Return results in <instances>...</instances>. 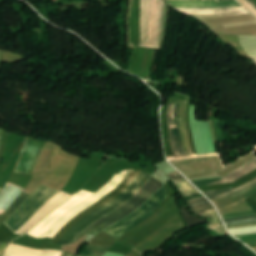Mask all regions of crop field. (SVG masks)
I'll use <instances>...</instances> for the list:
<instances>
[{
    "label": "crop field",
    "instance_id": "1",
    "mask_svg": "<svg viewBox=\"0 0 256 256\" xmlns=\"http://www.w3.org/2000/svg\"><path fill=\"white\" fill-rule=\"evenodd\" d=\"M138 173L139 171L137 170H129L126 179L120 186H118L110 195L84 211L75 219H73L59 232V234L51 242L57 243L63 237V235L77 222H79L81 219H83L95 209L107 204L115 197H117L129 185V183L136 177ZM150 176L152 175L140 172L137 177L130 183V185L117 198H115L104 207L92 212L90 215L81 220L72 229H70L57 244H70L77 236H79L87 227H89L96 220L114 211L126 201L131 199Z\"/></svg>",
    "mask_w": 256,
    "mask_h": 256
},
{
    "label": "crop field",
    "instance_id": "2",
    "mask_svg": "<svg viewBox=\"0 0 256 256\" xmlns=\"http://www.w3.org/2000/svg\"><path fill=\"white\" fill-rule=\"evenodd\" d=\"M155 0H141V43L149 46ZM167 3L156 0L150 46L160 47L165 37Z\"/></svg>",
    "mask_w": 256,
    "mask_h": 256
},
{
    "label": "crop field",
    "instance_id": "3",
    "mask_svg": "<svg viewBox=\"0 0 256 256\" xmlns=\"http://www.w3.org/2000/svg\"><path fill=\"white\" fill-rule=\"evenodd\" d=\"M154 177L152 176L151 178H149L147 182L141 187V189L130 201L125 203L116 211L99 219L97 222L92 224L88 229H86L79 237H81L84 234L97 235L102 229L122 220L123 218L127 217L135 210H137L147 199H149L155 192H157L162 185H165ZM78 238H76L75 241Z\"/></svg>",
    "mask_w": 256,
    "mask_h": 256
},
{
    "label": "crop field",
    "instance_id": "4",
    "mask_svg": "<svg viewBox=\"0 0 256 256\" xmlns=\"http://www.w3.org/2000/svg\"><path fill=\"white\" fill-rule=\"evenodd\" d=\"M164 187H162L157 193H155L145 204H143L136 212L125 218L124 220L106 228L104 232L120 238L124 233L130 229L136 227L144 220L149 218L155 208H157L164 200L168 198Z\"/></svg>",
    "mask_w": 256,
    "mask_h": 256
},
{
    "label": "crop field",
    "instance_id": "5",
    "mask_svg": "<svg viewBox=\"0 0 256 256\" xmlns=\"http://www.w3.org/2000/svg\"><path fill=\"white\" fill-rule=\"evenodd\" d=\"M57 193L59 191L41 185L5 224L14 233Z\"/></svg>",
    "mask_w": 256,
    "mask_h": 256
},
{
    "label": "crop field",
    "instance_id": "6",
    "mask_svg": "<svg viewBox=\"0 0 256 256\" xmlns=\"http://www.w3.org/2000/svg\"><path fill=\"white\" fill-rule=\"evenodd\" d=\"M186 202L192 213L209 219V229L217 231L225 228L214 207L204 197L188 200Z\"/></svg>",
    "mask_w": 256,
    "mask_h": 256
},
{
    "label": "crop field",
    "instance_id": "7",
    "mask_svg": "<svg viewBox=\"0 0 256 256\" xmlns=\"http://www.w3.org/2000/svg\"><path fill=\"white\" fill-rule=\"evenodd\" d=\"M71 195L67 193L60 192L50 201H48L34 216H32L21 228H19L15 233L23 235L36 224H38L45 216H47L55 207L61 204Z\"/></svg>",
    "mask_w": 256,
    "mask_h": 256
},
{
    "label": "crop field",
    "instance_id": "8",
    "mask_svg": "<svg viewBox=\"0 0 256 256\" xmlns=\"http://www.w3.org/2000/svg\"><path fill=\"white\" fill-rule=\"evenodd\" d=\"M44 146L27 140L20 156L19 164L14 172L32 173L34 164Z\"/></svg>",
    "mask_w": 256,
    "mask_h": 256
},
{
    "label": "crop field",
    "instance_id": "9",
    "mask_svg": "<svg viewBox=\"0 0 256 256\" xmlns=\"http://www.w3.org/2000/svg\"><path fill=\"white\" fill-rule=\"evenodd\" d=\"M178 105L179 104L169 105L168 111H167V118H168V125H169L173 152L176 158H181L185 156H184L178 124H177Z\"/></svg>",
    "mask_w": 256,
    "mask_h": 256
},
{
    "label": "crop field",
    "instance_id": "10",
    "mask_svg": "<svg viewBox=\"0 0 256 256\" xmlns=\"http://www.w3.org/2000/svg\"><path fill=\"white\" fill-rule=\"evenodd\" d=\"M174 8H235L236 1H168Z\"/></svg>",
    "mask_w": 256,
    "mask_h": 256
},
{
    "label": "crop field",
    "instance_id": "11",
    "mask_svg": "<svg viewBox=\"0 0 256 256\" xmlns=\"http://www.w3.org/2000/svg\"><path fill=\"white\" fill-rule=\"evenodd\" d=\"M255 188H256V178L246 182L245 184L237 188L206 191L203 193L207 195L210 199L227 198V197L243 196Z\"/></svg>",
    "mask_w": 256,
    "mask_h": 256
},
{
    "label": "crop field",
    "instance_id": "12",
    "mask_svg": "<svg viewBox=\"0 0 256 256\" xmlns=\"http://www.w3.org/2000/svg\"><path fill=\"white\" fill-rule=\"evenodd\" d=\"M63 251L33 250L16 245H9L5 256H61Z\"/></svg>",
    "mask_w": 256,
    "mask_h": 256
},
{
    "label": "crop field",
    "instance_id": "13",
    "mask_svg": "<svg viewBox=\"0 0 256 256\" xmlns=\"http://www.w3.org/2000/svg\"><path fill=\"white\" fill-rule=\"evenodd\" d=\"M187 14L251 15L245 9H178Z\"/></svg>",
    "mask_w": 256,
    "mask_h": 256
},
{
    "label": "crop field",
    "instance_id": "14",
    "mask_svg": "<svg viewBox=\"0 0 256 256\" xmlns=\"http://www.w3.org/2000/svg\"><path fill=\"white\" fill-rule=\"evenodd\" d=\"M8 184L15 186L11 183H8ZM10 185L5 186V188L0 192V210L7 209L9 207V205L17 198V196L23 190V189L22 190L16 189ZM15 187H17V186H15ZM17 188H19V187H17ZM4 211L5 210L0 211V214H2Z\"/></svg>",
    "mask_w": 256,
    "mask_h": 256
},
{
    "label": "crop field",
    "instance_id": "15",
    "mask_svg": "<svg viewBox=\"0 0 256 256\" xmlns=\"http://www.w3.org/2000/svg\"><path fill=\"white\" fill-rule=\"evenodd\" d=\"M179 188L183 197L198 194L199 192L188 183L178 172L168 175Z\"/></svg>",
    "mask_w": 256,
    "mask_h": 256
},
{
    "label": "crop field",
    "instance_id": "16",
    "mask_svg": "<svg viewBox=\"0 0 256 256\" xmlns=\"http://www.w3.org/2000/svg\"><path fill=\"white\" fill-rule=\"evenodd\" d=\"M254 169H256V161H254L253 163L244 167L243 169L239 170L238 172L234 173L233 175H231L229 177H224V178H222L223 180L215 182L213 184L233 182V181L239 179L240 177L246 175L247 173L253 171Z\"/></svg>",
    "mask_w": 256,
    "mask_h": 256
},
{
    "label": "crop field",
    "instance_id": "17",
    "mask_svg": "<svg viewBox=\"0 0 256 256\" xmlns=\"http://www.w3.org/2000/svg\"><path fill=\"white\" fill-rule=\"evenodd\" d=\"M224 221H225L226 225L255 222L256 216L255 217L246 216V217L227 218V219H224Z\"/></svg>",
    "mask_w": 256,
    "mask_h": 256
},
{
    "label": "crop field",
    "instance_id": "18",
    "mask_svg": "<svg viewBox=\"0 0 256 256\" xmlns=\"http://www.w3.org/2000/svg\"><path fill=\"white\" fill-rule=\"evenodd\" d=\"M28 194L22 193L15 201L14 203L8 208L6 213L12 215L14 211L21 205V203L28 197Z\"/></svg>",
    "mask_w": 256,
    "mask_h": 256
},
{
    "label": "crop field",
    "instance_id": "19",
    "mask_svg": "<svg viewBox=\"0 0 256 256\" xmlns=\"http://www.w3.org/2000/svg\"><path fill=\"white\" fill-rule=\"evenodd\" d=\"M104 252L84 250L80 256H102Z\"/></svg>",
    "mask_w": 256,
    "mask_h": 256
},
{
    "label": "crop field",
    "instance_id": "20",
    "mask_svg": "<svg viewBox=\"0 0 256 256\" xmlns=\"http://www.w3.org/2000/svg\"><path fill=\"white\" fill-rule=\"evenodd\" d=\"M86 248H88V249H95V250L107 251L109 247H107V246H99V245L88 244Z\"/></svg>",
    "mask_w": 256,
    "mask_h": 256
},
{
    "label": "crop field",
    "instance_id": "21",
    "mask_svg": "<svg viewBox=\"0 0 256 256\" xmlns=\"http://www.w3.org/2000/svg\"><path fill=\"white\" fill-rule=\"evenodd\" d=\"M248 226H256V223L231 225V226H227V227H228V229H232V228H240V227H248Z\"/></svg>",
    "mask_w": 256,
    "mask_h": 256
},
{
    "label": "crop field",
    "instance_id": "22",
    "mask_svg": "<svg viewBox=\"0 0 256 256\" xmlns=\"http://www.w3.org/2000/svg\"><path fill=\"white\" fill-rule=\"evenodd\" d=\"M238 1H240L247 9H249L253 14L256 15V10L252 6H250L246 1L244 0H238Z\"/></svg>",
    "mask_w": 256,
    "mask_h": 256
},
{
    "label": "crop field",
    "instance_id": "23",
    "mask_svg": "<svg viewBox=\"0 0 256 256\" xmlns=\"http://www.w3.org/2000/svg\"><path fill=\"white\" fill-rule=\"evenodd\" d=\"M7 245H8V244L3 243V244L0 246V256H2V255L4 254Z\"/></svg>",
    "mask_w": 256,
    "mask_h": 256
},
{
    "label": "crop field",
    "instance_id": "24",
    "mask_svg": "<svg viewBox=\"0 0 256 256\" xmlns=\"http://www.w3.org/2000/svg\"><path fill=\"white\" fill-rule=\"evenodd\" d=\"M246 1L256 9V5L251 0H246Z\"/></svg>",
    "mask_w": 256,
    "mask_h": 256
},
{
    "label": "crop field",
    "instance_id": "25",
    "mask_svg": "<svg viewBox=\"0 0 256 256\" xmlns=\"http://www.w3.org/2000/svg\"><path fill=\"white\" fill-rule=\"evenodd\" d=\"M62 256H75V255H72V254H70V253H64V252H63Z\"/></svg>",
    "mask_w": 256,
    "mask_h": 256
},
{
    "label": "crop field",
    "instance_id": "26",
    "mask_svg": "<svg viewBox=\"0 0 256 256\" xmlns=\"http://www.w3.org/2000/svg\"><path fill=\"white\" fill-rule=\"evenodd\" d=\"M114 176H115V175H114ZM109 194H110V193H109ZM106 196H107V195H106ZM103 198H104V197H103ZM49 215H50V214H49ZM49 215H48V216H49ZM59 219H60V218H59ZM59 219H58V220H59ZM43 220H44V219H43ZM43 220H42V221H43ZM58 220H57V221H58ZM42 221H41V222H42ZM41 222H40V223H41ZM36 226H37V225H36ZM39 236H40V235H39ZM36 238H37V237H36Z\"/></svg>",
    "mask_w": 256,
    "mask_h": 256
},
{
    "label": "crop field",
    "instance_id": "27",
    "mask_svg": "<svg viewBox=\"0 0 256 256\" xmlns=\"http://www.w3.org/2000/svg\"><path fill=\"white\" fill-rule=\"evenodd\" d=\"M0 132H1V131H0ZM1 134H2V133H0V139H1Z\"/></svg>",
    "mask_w": 256,
    "mask_h": 256
},
{
    "label": "crop field",
    "instance_id": "28",
    "mask_svg": "<svg viewBox=\"0 0 256 256\" xmlns=\"http://www.w3.org/2000/svg\"><path fill=\"white\" fill-rule=\"evenodd\" d=\"M2 242H0V244H1Z\"/></svg>",
    "mask_w": 256,
    "mask_h": 256
},
{
    "label": "crop field",
    "instance_id": "29",
    "mask_svg": "<svg viewBox=\"0 0 256 256\" xmlns=\"http://www.w3.org/2000/svg\"><path fill=\"white\" fill-rule=\"evenodd\" d=\"M1 190V189H0Z\"/></svg>",
    "mask_w": 256,
    "mask_h": 256
}]
</instances>
